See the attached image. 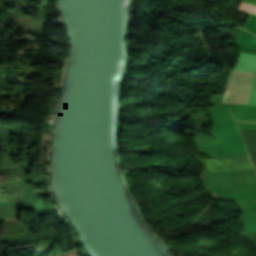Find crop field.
<instances>
[{"label": "crop field", "instance_id": "8a807250", "mask_svg": "<svg viewBox=\"0 0 256 256\" xmlns=\"http://www.w3.org/2000/svg\"><path fill=\"white\" fill-rule=\"evenodd\" d=\"M254 74L232 71L221 103L248 104Z\"/></svg>", "mask_w": 256, "mask_h": 256}, {"label": "crop field", "instance_id": "ac0d7876", "mask_svg": "<svg viewBox=\"0 0 256 256\" xmlns=\"http://www.w3.org/2000/svg\"><path fill=\"white\" fill-rule=\"evenodd\" d=\"M232 113H242V114H256V106H240V105H229ZM233 114L235 120H247L256 121V115H242ZM236 122H246V121H236ZM246 123H256V122H246Z\"/></svg>", "mask_w": 256, "mask_h": 256}, {"label": "crop field", "instance_id": "34b2d1b8", "mask_svg": "<svg viewBox=\"0 0 256 256\" xmlns=\"http://www.w3.org/2000/svg\"><path fill=\"white\" fill-rule=\"evenodd\" d=\"M235 70L256 71V55L240 53Z\"/></svg>", "mask_w": 256, "mask_h": 256}, {"label": "crop field", "instance_id": "412701ff", "mask_svg": "<svg viewBox=\"0 0 256 256\" xmlns=\"http://www.w3.org/2000/svg\"><path fill=\"white\" fill-rule=\"evenodd\" d=\"M238 10L256 14V0H242Z\"/></svg>", "mask_w": 256, "mask_h": 256}]
</instances>
